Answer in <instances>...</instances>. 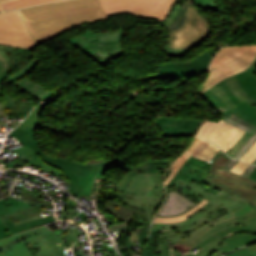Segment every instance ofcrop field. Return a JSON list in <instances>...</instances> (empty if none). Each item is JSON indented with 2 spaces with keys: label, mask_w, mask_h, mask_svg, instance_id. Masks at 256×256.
<instances>
[{
  "label": "crop field",
  "mask_w": 256,
  "mask_h": 256,
  "mask_svg": "<svg viewBox=\"0 0 256 256\" xmlns=\"http://www.w3.org/2000/svg\"><path fill=\"white\" fill-rule=\"evenodd\" d=\"M19 10L29 31L39 42L76 25L107 19L100 0H64Z\"/></svg>",
  "instance_id": "8a807250"
},
{
  "label": "crop field",
  "mask_w": 256,
  "mask_h": 256,
  "mask_svg": "<svg viewBox=\"0 0 256 256\" xmlns=\"http://www.w3.org/2000/svg\"><path fill=\"white\" fill-rule=\"evenodd\" d=\"M80 235L74 229L57 237L43 226L0 241V256H66L62 249L72 246Z\"/></svg>",
  "instance_id": "ac0d7876"
},
{
  "label": "crop field",
  "mask_w": 256,
  "mask_h": 256,
  "mask_svg": "<svg viewBox=\"0 0 256 256\" xmlns=\"http://www.w3.org/2000/svg\"><path fill=\"white\" fill-rule=\"evenodd\" d=\"M241 90L242 88L234 75L223 79L199 96L207 97L223 116L232 112L243 120L256 125V104L241 95L238 92Z\"/></svg>",
  "instance_id": "34b2d1b8"
},
{
  "label": "crop field",
  "mask_w": 256,
  "mask_h": 256,
  "mask_svg": "<svg viewBox=\"0 0 256 256\" xmlns=\"http://www.w3.org/2000/svg\"><path fill=\"white\" fill-rule=\"evenodd\" d=\"M256 61V45L225 47L215 55L205 82L197 92L201 94L225 77L234 75Z\"/></svg>",
  "instance_id": "412701ff"
},
{
  "label": "crop field",
  "mask_w": 256,
  "mask_h": 256,
  "mask_svg": "<svg viewBox=\"0 0 256 256\" xmlns=\"http://www.w3.org/2000/svg\"><path fill=\"white\" fill-rule=\"evenodd\" d=\"M234 218L237 226L219 231L221 237L237 232H248L256 230V207L248 205L236 213H232L214 222L207 223L187 235L172 238V242L181 253L191 250L196 244L213 235L215 230L211 225Z\"/></svg>",
  "instance_id": "f4fd0767"
},
{
  "label": "crop field",
  "mask_w": 256,
  "mask_h": 256,
  "mask_svg": "<svg viewBox=\"0 0 256 256\" xmlns=\"http://www.w3.org/2000/svg\"><path fill=\"white\" fill-rule=\"evenodd\" d=\"M123 29L110 33H95L89 29L68 40L78 51L103 66L109 59L125 53L122 47Z\"/></svg>",
  "instance_id": "dd49c442"
},
{
  "label": "crop field",
  "mask_w": 256,
  "mask_h": 256,
  "mask_svg": "<svg viewBox=\"0 0 256 256\" xmlns=\"http://www.w3.org/2000/svg\"><path fill=\"white\" fill-rule=\"evenodd\" d=\"M163 175L137 174L129 184L125 196V204L144 208L146 219L151 223L152 217L164 197Z\"/></svg>",
  "instance_id": "e52e79f7"
},
{
  "label": "crop field",
  "mask_w": 256,
  "mask_h": 256,
  "mask_svg": "<svg viewBox=\"0 0 256 256\" xmlns=\"http://www.w3.org/2000/svg\"><path fill=\"white\" fill-rule=\"evenodd\" d=\"M207 185L215 188L219 192L215 195L197 187L196 185L185 182L181 179H177L176 183L173 184L176 188H178L183 193L187 194L191 198L201 201L203 198H206L210 200L202 209L197 211L193 216L188 217V220L176 223V224H155L153 223L152 227H170V226H178V225H184L189 224L192 222H195L204 216L208 215L210 212H212L216 207L219 205L222 207L227 208V210L232 213L240 210L242 207L248 205L244 204L243 202L239 201L238 199L228 195L224 191L220 190L213 184L209 183L208 181H204Z\"/></svg>",
  "instance_id": "d8731c3e"
},
{
  "label": "crop field",
  "mask_w": 256,
  "mask_h": 256,
  "mask_svg": "<svg viewBox=\"0 0 256 256\" xmlns=\"http://www.w3.org/2000/svg\"><path fill=\"white\" fill-rule=\"evenodd\" d=\"M230 158L223 152L213 163L206 180L241 201L256 205V181L221 168Z\"/></svg>",
  "instance_id": "5a996713"
},
{
  "label": "crop field",
  "mask_w": 256,
  "mask_h": 256,
  "mask_svg": "<svg viewBox=\"0 0 256 256\" xmlns=\"http://www.w3.org/2000/svg\"><path fill=\"white\" fill-rule=\"evenodd\" d=\"M208 30V22L200 17L197 10L188 4L183 24L170 31L171 42L167 47L171 49H185L198 43Z\"/></svg>",
  "instance_id": "3316defc"
},
{
  "label": "crop field",
  "mask_w": 256,
  "mask_h": 256,
  "mask_svg": "<svg viewBox=\"0 0 256 256\" xmlns=\"http://www.w3.org/2000/svg\"><path fill=\"white\" fill-rule=\"evenodd\" d=\"M0 44L33 49L39 43L31 38L18 10L0 14Z\"/></svg>",
  "instance_id": "28ad6ade"
},
{
  "label": "crop field",
  "mask_w": 256,
  "mask_h": 256,
  "mask_svg": "<svg viewBox=\"0 0 256 256\" xmlns=\"http://www.w3.org/2000/svg\"><path fill=\"white\" fill-rule=\"evenodd\" d=\"M217 50L218 48L210 47L189 61L156 65L159 72L146 76V78L185 77L200 74L206 70L213 54Z\"/></svg>",
  "instance_id": "d1516ede"
},
{
  "label": "crop field",
  "mask_w": 256,
  "mask_h": 256,
  "mask_svg": "<svg viewBox=\"0 0 256 256\" xmlns=\"http://www.w3.org/2000/svg\"><path fill=\"white\" fill-rule=\"evenodd\" d=\"M227 214H229V212L225 208H222L219 206L208 216L189 225L171 227V228H152L151 231L160 232L159 239L157 242L158 256H178L179 254L174 251L173 249L174 247L170 238L179 236L182 234H186L207 222L214 221Z\"/></svg>",
  "instance_id": "22f410ed"
},
{
  "label": "crop field",
  "mask_w": 256,
  "mask_h": 256,
  "mask_svg": "<svg viewBox=\"0 0 256 256\" xmlns=\"http://www.w3.org/2000/svg\"><path fill=\"white\" fill-rule=\"evenodd\" d=\"M167 1L168 0H101L108 16L129 13L148 19Z\"/></svg>",
  "instance_id": "cbeb9de0"
},
{
  "label": "crop field",
  "mask_w": 256,
  "mask_h": 256,
  "mask_svg": "<svg viewBox=\"0 0 256 256\" xmlns=\"http://www.w3.org/2000/svg\"><path fill=\"white\" fill-rule=\"evenodd\" d=\"M244 133L245 131L222 120L218 123L205 120L196 137L213 142L222 147L226 152Z\"/></svg>",
  "instance_id": "5142ce71"
},
{
  "label": "crop field",
  "mask_w": 256,
  "mask_h": 256,
  "mask_svg": "<svg viewBox=\"0 0 256 256\" xmlns=\"http://www.w3.org/2000/svg\"><path fill=\"white\" fill-rule=\"evenodd\" d=\"M37 60L38 59L33 57L31 53H28V55L24 57L19 65L12 71L15 74H13L12 76H8L3 81L19 87L24 92L30 94L41 102L42 100L53 94V92L37 82L34 83L24 78L26 72L34 67Z\"/></svg>",
  "instance_id": "d9b57169"
},
{
  "label": "crop field",
  "mask_w": 256,
  "mask_h": 256,
  "mask_svg": "<svg viewBox=\"0 0 256 256\" xmlns=\"http://www.w3.org/2000/svg\"><path fill=\"white\" fill-rule=\"evenodd\" d=\"M40 157L44 162L60 169L64 173L67 180L71 183L69 192L74 195L77 193L80 194L81 192V188L77 187L78 181L82 177L95 176L98 169L86 167V163L75 162L70 159L54 158L44 153Z\"/></svg>",
  "instance_id": "733c2abd"
},
{
  "label": "crop field",
  "mask_w": 256,
  "mask_h": 256,
  "mask_svg": "<svg viewBox=\"0 0 256 256\" xmlns=\"http://www.w3.org/2000/svg\"><path fill=\"white\" fill-rule=\"evenodd\" d=\"M202 120L176 119L157 117L156 124L162 131V136L176 137L191 135L194 136Z\"/></svg>",
  "instance_id": "4a817a6b"
},
{
  "label": "crop field",
  "mask_w": 256,
  "mask_h": 256,
  "mask_svg": "<svg viewBox=\"0 0 256 256\" xmlns=\"http://www.w3.org/2000/svg\"><path fill=\"white\" fill-rule=\"evenodd\" d=\"M174 160L170 159H163V160H146L142 162L140 165L136 166L135 170L129 172L126 177L122 180L120 187L118 189V200L119 202L123 203L126 200V197H124L125 190L127 188V185L131 181V179L138 173V172H144V173H160L164 174L165 170L169 167V165Z\"/></svg>",
  "instance_id": "bc2a9ffb"
},
{
  "label": "crop field",
  "mask_w": 256,
  "mask_h": 256,
  "mask_svg": "<svg viewBox=\"0 0 256 256\" xmlns=\"http://www.w3.org/2000/svg\"><path fill=\"white\" fill-rule=\"evenodd\" d=\"M196 205L171 189L166 190L165 200L157 212L158 217H172L183 214Z\"/></svg>",
  "instance_id": "214f88e0"
},
{
  "label": "crop field",
  "mask_w": 256,
  "mask_h": 256,
  "mask_svg": "<svg viewBox=\"0 0 256 256\" xmlns=\"http://www.w3.org/2000/svg\"><path fill=\"white\" fill-rule=\"evenodd\" d=\"M236 225V222L234 219L225 221L216 225H213V227L216 229V231L222 230L226 227L234 226ZM226 245L225 241L221 239L218 233L214 234L210 238L206 239L202 243L196 245L199 248H201V252L197 255L195 254H188L184 256H221L225 254L222 252L219 248Z\"/></svg>",
  "instance_id": "92a150f3"
},
{
  "label": "crop field",
  "mask_w": 256,
  "mask_h": 256,
  "mask_svg": "<svg viewBox=\"0 0 256 256\" xmlns=\"http://www.w3.org/2000/svg\"><path fill=\"white\" fill-rule=\"evenodd\" d=\"M11 151H13L15 154L18 155L17 156L18 159L13 161L14 166L23 167L24 164H30V165L39 167L43 170H46V171H48L52 174L60 175V176L65 177L63 175V173L61 171H59L58 169H56V168H54L50 165L45 164L41 160V158L38 156V154L30 148L22 146L20 148L13 149Z\"/></svg>",
  "instance_id": "dafd665d"
},
{
  "label": "crop field",
  "mask_w": 256,
  "mask_h": 256,
  "mask_svg": "<svg viewBox=\"0 0 256 256\" xmlns=\"http://www.w3.org/2000/svg\"><path fill=\"white\" fill-rule=\"evenodd\" d=\"M31 207L33 206L10 196L0 200V239L11 235L10 231L6 228L1 219L16 215V213L25 211Z\"/></svg>",
  "instance_id": "00972430"
},
{
  "label": "crop field",
  "mask_w": 256,
  "mask_h": 256,
  "mask_svg": "<svg viewBox=\"0 0 256 256\" xmlns=\"http://www.w3.org/2000/svg\"><path fill=\"white\" fill-rule=\"evenodd\" d=\"M106 210H108L110 213L116 216L118 220H123L120 224H113L111 225V228H113L115 231L121 228L122 226H127V223L136 217L132 216L136 210V208L129 207L120 203H117L115 201L109 202L106 205Z\"/></svg>",
  "instance_id": "a9b5d70f"
},
{
  "label": "crop field",
  "mask_w": 256,
  "mask_h": 256,
  "mask_svg": "<svg viewBox=\"0 0 256 256\" xmlns=\"http://www.w3.org/2000/svg\"><path fill=\"white\" fill-rule=\"evenodd\" d=\"M186 150L192 152V156L208 162L220 148L207 141L195 138Z\"/></svg>",
  "instance_id": "4177f3b9"
},
{
  "label": "crop field",
  "mask_w": 256,
  "mask_h": 256,
  "mask_svg": "<svg viewBox=\"0 0 256 256\" xmlns=\"http://www.w3.org/2000/svg\"><path fill=\"white\" fill-rule=\"evenodd\" d=\"M223 120L239 127L242 128L248 132H252L253 130L256 131V126L253 124H250L248 122H245L243 120H241L240 118H238L237 116H235L234 114H229L227 116H225L224 118H222ZM256 141V134L250 138L243 146L242 148L233 156V158H237V159H241L242 156L248 151V149L255 143ZM253 164H256V159L252 162Z\"/></svg>",
  "instance_id": "730fd06b"
},
{
  "label": "crop field",
  "mask_w": 256,
  "mask_h": 256,
  "mask_svg": "<svg viewBox=\"0 0 256 256\" xmlns=\"http://www.w3.org/2000/svg\"><path fill=\"white\" fill-rule=\"evenodd\" d=\"M223 151H219L211 160L210 163H206L203 161H200L192 156L185 162V164L181 167V171L189 172L192 174H195L197 176L203 177L206 179V177L209 174V169L211 163L222 153Z\"/></svg>",
  "instance_id": "eef30255"
},
{
  "label": "crop field",
  "mask_w": 256,
  "mask_h": 256,
  "mask_svg": "<svg viewBox=\"0 0 256 256\" xmlns=\"http://www.w3.org/2000/svg\"><path fill=\"white\" fill-rule=\"evenodd\" d=\"M149 229L150 225H140L131 228L122 227L118 230V235H126V245L128 248L131 245L130 240L132 242L139 241L140 246H142L147 237Z\"/></svg>",
  "instance_id": "ae1a2a85"
},
{
  "label": "crop field",
  "mask_w": 256,
  "mask_h": 256,
  "mask_svg": "<svg viewBox=\"0 0 256 256\" xmlns=\"http://www.w3.org/2000/svg\"><path fill=\"white\" fill-rule=\"evenodd\" d=\"M223 239L226 241L228 245L221 248V250L227 253L236 248L243 247L256 242V235L250 233H237L235 235L223 237Z\"/></svg>",
  "instance_id": "d3111659"
},
{
  "label": "crop field",
  "mask_w": 256,
  "mask_h": 256,
  "mask_svg": "<svg viewBox=\"0 0 256 256\" xmlns=\"http://www.w3.org/2000/svg\"><path fill=\"white\" fill-rule=\"evenodd\" d=\"M8 118H15L18 114L26 117L34 105L29 101L27 103L15 100L10 96L4 94Z\"/></svg>",
  "instance_id": "750c4746"
},
{
  "label": "crop field",
  "mask_w": 256,
  "mask_h": 256,
  "mask_svg": "<svg viewBox=\"0 0 256 256\" xmlns=\"http://www.w3.org/2000/svg\"><path fill=\"white\" fill-rule=\"evenodd\" d=\"M22 215H23V213L21 212V213H18V215H16V216L3 219L4 224L7 226V228L11 231L12 234H15V233L20 232V231L28 230V229H30L29 227L36 226L38 224H44L46 222H50V221H53V220L56 221L54 216L51 215V216L31 220V221H28V222H25V223L14 226L10 219H12L14 217H20Z\"/></svg>",
  "instance_id": "bd1437ed"
},
{
  "label": "crop field",
  "mask_w": 256,
  "mask_h": 256,
  "mask_svg": "<svg viewBox=\"0 0 256 256\" xmlns=\"http://www.w3.org/2000/svg\"><path fill=\"white\" fill-rule=\"evenodd\" d=\"M236 76L244 90L240 93L256 103V80L246 70L236 74Z\"/></svg>",
  "instance_id": "1d83c4d3"
},
{
  "label": "crop field",
  "mask_w": 256,
  "mask_h": 256,
  "mask_svg": "<svg viewBox=\"0 0 256 256\" xmlns=\"http://www.w3.org/2000/svg\"><path fill=\"white\" fill-rule=\"evenodd\" d=\"M36 129L27 128L26 130L15 129L9 135L16 137L23 145L33 148L38 154L43 153L37 145L35 138Z\"/></svg>",
  "instance_id": "120bbe31"
},
{
  "label": "crop field",
  "mask_w": 256,
  "mask_h": 256,
  "mask_svg": "<svg viewBox=\"0 0 256 256\" xmlns=\"http://www.w3.org/2000/svg\"><path fill=\"white\" fill-rule=\"evenodd\" d=\"M21 59L10 57L7 50H0V97L1 94V81L7 77L9 71H12Z\"/></svg>",
  "instance_id": "d32e631a"
},
{
  "label": "crop field",
  "mask_w": 256,
  "mask_h": 256,
  "mask_svg": "<svg viewBox=\"0 0 256 256\" xmlns=\"http://www.w3.org/2000/svg\"><path fill=\"white\" fill-rule=\"evenodd\" d=\"M181 178L185 181H190L196 185H198L199 187L215 194L217 193L218 191H216L215 189L207 186L206 184L202 183L204 181V179L200 178V177H197L195 175H192V174H189V173H185V172H180L178 171V173L176 174V176L172 179V181L167 185L165 186L166 188H168L177 178Z\"/></svg>",
  "instance_id": "5866460e"
},
{
  "label": "crop field",
  "mask_w": 256,
  "mask_h": 256,
  "mask_svg": "<svg viewBox=\"0 0 256 256\" xmlns=\"http://www.w3.org/2000/svg\"><path fill=\"white\" fill-rule=\"evenodd\" d=\"M46 104L47 103L37 105L30 115L21 124H19L17 128L26 129L27 127H32L37 129V127L40 125L38 116Z\"/></svg>",
  "instance_id": "028f5c9d"
},
{
  "label": "crop field",
  "mask_w": 256,
  "mask_h": 256,
  "mask_svg": "<svg viewBox=\"0 0 256 256\" xmlns=\"http://www.w3.org/2000/svg\"><path fill=\"white\" fill-rule=\"evenodd\" d=\"M52 1H58V0H15L9 3L2 4V7H3V10L6 11L14 8L38 5V4L48 3Z\"/></svg>",
  "instance_id": "e1f06a70"
},
{
  "label": "crop field",
  "mask_w": 256,
  "mask_h": 256,
  "mask_svg": "<svg viewBox=\"0 0 256 256\" xmlns=\"http://www.w3.org/2000/svg\"><path fill=\"white\" fill-rule=\"evenodd\" d=\"M207 202H208V200L203 199L198 204L197 207H195L191 211H189L186 214H183V215H181L179 217H173V218H157V217H155L154 222H156V223H176V222H180V221L186 220V217L194 214L197 210H199L201 207H203Z\"/></svg>",
  "instance_id": "0bd39190"
},
{
  "label": "crop field",
  "mask_w": 256,
  "mask_h": 256,
  "mask_svg": "<svg viewBox=\"0 0 256 256\" xmlns=\"http://www.w3.org/2000/svg\"><path fill=\"white\" fill-rule=\"evenodd\" d=\"M118 157H113L111 160L105 162L103 159H94V160H89L87 162V166H92V167H99L98 172L96 174V177H103L105 171L107 168L114 162H116Z\"/></svg>",
  "instance_id": "b80d0937"
},
{
  "label": "crop field",
  "mask_w": 256,
  "mask_h": 256,
  "mask_svg": "<svg viewBox=\"0 0 256 256\" xmlns=\"http://www.w3.org/2000/svg\"><path fill=\"white\" fill-rule=\"evenodd\" d=\"M190 4H192V3H190ZM193 5V4H192ZM194 7H195V5H193ZM196 8V7H195ZM197 9V8H196ZM198 10V12H199V14L201 15V16H203L201 13H200V10L199 9H197ZM204 17V16H203ZM205 18V17H204ZM206 19V18H205ZM208 22H209V30H208V32H207V35L205 36V38L204 39H202L198 44H200L203 40H205L207 37H208V35L210 34V32H212V29H213V27H212V24H211V22L208 20ZM197 44V45H198ZM197 45H195V46H197ZM195 46H193V47H191V48H188V49H185V50H170L169 48H167V47H162V49H163V52L164 53H166V54H168V55H171V56H173V57H178V56H183V55H185V54H187L192 48H194Z\"/></svg>",
  "instance_id": "c035e120"
},
{
  "label": "crop field",
  "mask_w": 256,
  "mask_h": 256,
  "mask_svg": "<svg viewBox=\"0 0 256 256\" xmlns=\"http://www.w3.org/2000/svg\"><path fill=\"white\" fill-rule=\"evenodd\" d=\"M159 233L151 232L148 241L145 245L144 251L141 256H157L156 255V242Z\"/></svg>",
  "instance_id": "c21b1889"
},
{
  "label": "crop field",
  "mask_w": 256,
  "mask_h": 256,
  "mask_svg": "<svg viewBox=\"0 0 256 256\" xmlns=\"http://www.w3.org/2000/svg\"><path fill=\"white\" fill-rule=\"evenodd\" d=\"M192 153L188 152V151H184L180 157L175 161V163L171 166L173 169V171L171 172L169 178L167 179V181L165 182V185H167L170 180L175 176V174L177 173V171L179 170V168L184 164V162L188 159V157L191 155Z\"/></svg>",
  "instance_id": "03da06ac"
},
{
  "label": "crop field",
  "mask_w": 256,
  "mask_h": 256,
  "mask_svg": "<svg viewBox=\"0 0 256 256\" xmlns=\"http://www.w3.org/2000/svg\"><path fill=\"white\" fill-rule=\"evenodd\" d=\"M93 181H94V177L82 178L78 185L82 187V192H81V195L78 194L77 196L91 195Z\"/></svg>",
  "instance_id": "b54c1fbb"
},
{
  "label": "crop field",
  "mask_w": 256,
  "mask_h": 256,
  "mask_svg": "<svg viewBox=\"0 0 256 256\" xmlns=\"http://www.w3.org/2000/svg\"><path fill=\"white\" fill-rule=\"evenodd\" d=\"M255 131H253L251 134L245 133L228 151L227 154L229 156H233L240 148L241 146L251 137L253 136Z\"/></svg>",
  "instance_id": "5d738f31"
},
{
  "label": "crop field",
  "mask_w": 256,
  "mask_h": 256,
  "mask_svg": "<svg viewBox=\"0 0 256 256\" xmlns=\"http://www.w3.org/2000/svg\"><path fill=\"white\" fill-rule=\"evenodd\" d=\"M0 49H7L10 51L11 56L17 57V58H23L27 53L30 51V49H24L19 47H13V46H5L0 45Z\"/></svg>",
  "instance_id": "d23c7cc5"
},
{
  "label": "crop field",
  "mask_w": 256,
  "mask_h": 256,
  "mask_svg": "<svg viewBox=\"0 0 256 256\" xmlns=\"http://www.w3.org/2000/svg\"><path fill=\"white\" fill-rule=\"evenodd\" d=\"M182 4H183V2L179 1V2L177 3V5L175 6V8H174V9H171V11L169 12L168 16H167L166 19L164 20V22L161 23V25L163 26V28H165V27L171 25V24L174 22V20H175V18H176V16H177V13H178L180 7L182 6Z\"/></svg>",
  "instance_id": "425ffa30"
},
{
  "label": "crop field",
  "mask_w": 256,
  "mask_h": 256,
  "mask_svg": "<svg viewBox=\"0 0 256 256\" xmlns=\"http://www.w3.org/2000/svg\"><path fill=\"white\" fill-rule=\"evenodd\" d=\"M174 0H169L153 17H151L150 19L153 20H159V21H163L166 17V15L168 14V12L170 11V7L173 4Z\"/></svg>",
  "instance_id": "25e5ab78"
},
{
  "label": "crop field",
  "mask_w": 256,
  "mask_h": 256,
  "mask_svg": "<svg viewBox=\"0 0 256 256\" xmlns=\"http://www.w3.org/2000/svg\"><path fill=\"white\" fill-rule=\"evenodd\" d=\"M197 4L201 5L205 10L216 9L215 0H194Z\"/></svg>",
  "instance_id": "73cf0c24"
},
{
  "label": "crop field",
  "mask_w": 256,
  "mask_h": 256,
  "mask_svg": "<svg viewBox=\"0 0 256 256\" xmlns=\"http://www.w3.org/2000/svg\"><path fill=\"white\" fill-rule=\"evenodd\" d=\"M256 158V143L249 149V151L243 156L242 161L252 162Z\"/></svg>",
  "instance_id": "89e229c0"
},
{
  "label": "crop field",
  "mask_w": 256,
  "mask_h": 256,
  "mask_svg": "<svg viewBox=\"0 0 256 256\" xmlns=\"http://www.w3.org/2000/svg\"><path fill=\"white\" fill-rule=\"evenodd\" d=\"M254 250H256V245H252V246H249V247H246L243 249H239V250L231 252L225 256H239L241 254H244V253L250 252V251H254Z\"/></svg>",
  "instance_id": "1f2cbd36"
},
{
  "label": "crop field",
  "mask_w": 256,
  "mask_h": 256,
  "mask_svg": "<svg viewBox=\"0 0 256 256\" xmlns=\"http://www.w3.org/2000/svg\"><path fill=\"white\" fill-rule=\"evenodd\" d=\"M248 164H245L243 162H238L232 169L231 171L237 173V174H241L246 168H247Z\"/></svg>",
  "instance_id": "dbb93151"
},
{
  "label": "crop field",
  "mask_w": 256,
  "mask_h": 256,
  "mask_svg": "<svg viewBox=\"0 0 256 256\" xmlns=\"http://www.w3.org/2000/svg\"><path fill=\"white\" fill-rule=\"evenodd\" d=\"M254 168L255 166L249 165V167L241 175L248 178V176L250 175Z\"/></svg>",
  "instance_id": "0fb4a251"
},
{
  "label": "crop field",
  "mask_w": 256,
  "mask_h": 256,
  "mask_svg": "<svg viewBox=\"0 0 256 256\" xmlns=\"http://www.w3.org/2000/svg\"><path fill=\"white\" fill-rule=\"evenodd\" d=\"M236 163L237 161L231 159L227 164L223 166V168L230 170Z\"/></svg>",
  "instance_id": "1d79db26"
},
{
  "label": "crop field",
  "mask_w": 256,
  "mask_h": 256,
  "mask_svg": "<svg viewBox=\"0 0 256 256\" xmlns=\"http://www.w3.org/2000/svg\"><path fill=\"white\" fill-rule=\"evenodd\" d=\"M169 188L175 190L176 192H178L179 194H181V195L184 196L185 198H187V199H189L190 201L194 202L196 205L199 203V202H197V201L191 199L190 197L186 196L185 194H183L182 192H180L178 189H176V188H174V187H171V186H170Z\"/></svg>",
  "instance_id": "9d1cf04e"
},
{
  "label": "crop field",
  "mask_w": 256,
  "mask_h": 256,
  "mask_svg": "<svg viewBox=\"0 0 256 256\" xmlns=\"http://www.w3.org/2000/svg\"><path fill=\"white\" fill-rule=\"evenodd\" d=\"M249 179L256 180V168L254 169V171L252 172V174L249 176Z\"/></svg>",
  "instance_id": "447ae74e"
},
{
  "label": "crop field",
  "mask_w": 256,
  "mask_h": 256,
  "mask_svg": "<svg viewBox=\"0 0 256 256\" xmlns=\"http://www.w3.org/2000/svg\"><path fill=\"white\" fill-rule=\"evenodd\" d=\"M242 256H256V251L250 252V253H246V254H244Z\"/></svg>",
  "instance_id": "0765c3eb"
},
{
  "label": "crop field",
  "mask_w": 256,
  "mask_h": 256,
  "mask_svg": "<svg viewBox=\"0 0 256 256\" xmlns=\"http://www.w3.org/2000/svg\"><path fill=\"white\" fill-rule=\"evenodd\" d=\"M103 256H115L113 252L104 253Z\"/></svg>",
  "instance_id": "db79e9e6"
},
{
  "label": "crop field",
  "mask_w": 256,
  "mask_h": 256,
  "mask_svg": "<svg viewBox=\"0 0 256 256\" xmlns=\"http://www.w3.org/2000/svg\"><path fill=\"white\" fill-rule=\"evenodd\" d=\"M171 170H172V169H171V168H169V169H168V171L166 172L165 180L167 179V177H168L169 173L171 172Z\"/></svg>",
  "instance_id": "7b73153f"
},
{
  "label": "crop field",
  "mask_w": 256,
  "mask_h": 256,
  "mask_svg": "<svg viewBox=\"0 0 256 256\" xmlns=\"http://www.w3.org/2000/svg\"><path fill=\"white\" fill-rule=\"evenodd\" d=\"M248 70L251 71L252 73L256 72V69L253 66L251 68H249Z\"/></svg>",
  "instance_id": "78b8030e"
},
{
  "label": "crop field",
  "mask_w": 256,
  "mask_h": 256,
  "mask_svg": "<svg viewBox=\"0 0 256 256\" xmlns=\"http://www.w3.org/2000/svg\"><path fill=\"white\" fill-rule=\"evenodd\" d=\"M9 1H12V0H0V4L5 3V2H9Z\"/></svg>",
  "instance_id": "0f1d7ab4"
},
{
  "label": "crop field",
  "mask_w": 256,
  "mask_h": 256,
  "mask_svg": "<svg viewBox=\"0 0 256 256\" xmlns=\"http://www.w3.org/2000/svg\"><path fill=\"white\" fill-rule=\"evenodd\" d=\"M5 107H4V105H3V103H1V101H0V110L1 109H4Z\"/></svg>",
  "instance_id": "e1d0b9f6"
},
{
  "label": "crop field",
  "mask_w": 256,
  "mask_h": 256,
  "mask_svg": "<svg viewBox=\"0 0 256 256\" xmlns=\"http://www.w3.org/2000/svg\"><path fill=\"white\" fill-rule=\"evenodd\" d=\"M5 114V109L0 111V115H4Z\"/></svg>",
  "instance_id": "ae633e8c"
},
{
  "label": "crop field",
  "mask_w": 256,
  "mask_h": 256,
  "mask_svg": "<svg viewBox=\"0 0 256 256\" xmlns=\"http://www.w3.org/2000/svg\"><path fill=\"white\" fill-rule=\"evenodd\" d=\"M106 227H107V229H108L109 232L113 231V230L109 227V225H106Z\"/></svg>",
  "instance_id": "d14b1444"
},
{
  "label": "crop field",
  "mask_w": 256,
  "mask_h": 256,
  "mask_svg": "<svg viewBox=\"0 0 256 256\" xmlns=\"http://www.w3.org/2000/svg\"><path fill=\"white\" fill-rule=\"evenodd\" d=\"M76 246H79L78 242L76 244H74V247H76Z\"/></svg>",
  "instance_id": "c39391a2"
},
{
  "label": "crop field",
  "mask_w": 256,
  "mask_h": 256,
  "mask_svg": "<svg viewBox=\"0 0 256 256\" xmlns=\"http://www.w3.org/2000/svg\"><path fill=\"white\" fill-rule=\"evenodd\" d=\"M251 233H254V234H256V231H253V232H251Z\"/></svg>",
  "instance_id": "ade564c9"
},
{
  "label": "crop field",
  "mask_w": 256,
  "mask_h": 256,
  "mask_svg": "<svg viewBox=\"0 0 256 256\" xmlns=\"http://www.w3.org/2000/svg\"><path fill=\"white\" fill-rule=\"evenodd\" d=\"M0 12H2V9H1V7H0Z\"/></svg>",
  "instance_id": "c5b07064"
}]
</instances>
